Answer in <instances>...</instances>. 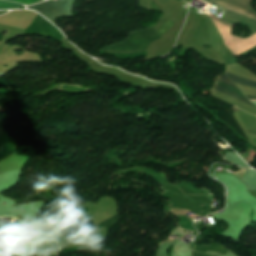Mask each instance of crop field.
<instances>
[{"instance_id":"34b2d1b8","label":"crop field","mask_w":256,"mask_h":256,"mask_svg":"<svg viewBox=\"0 0 256 256\" xmlns=\"http://www.w3.org/2000/svg\"><path fill=\"white\" fill-rule=\"evenodd\" d=\"M74 0H57L54 2H44L41 4L33 5L28 8L41 12L46 18L54 23V19L59 16H73L72 4Z\"/></svg>"},{"instance_id":"e52e79f7","label":"crop field","mask_w":256,"mask_h":256,"mask_svg":"<svg viewBox=\"0 0 256 256\" xmlns=\"http://www.w3.org/2000/svg\"><path fill=\"white\" fill-rule=\"evenodd\" d=\"M191 233H193V231Z\"/></svg>"},{"instance_id":"412701ff","label":"crop field","mask_w":256,"mask_h":256,"mask_svg":"<svg viewBox=\"0 0 256 256\" xmlns=\"http://www.w3.org/2000/svg\"><path fill=\"white\" fill-rule=\"evenodd\" d=\"M218 84L213 89L253 105L226 76L222 74L217 77ZM255 106V105H253ZM256 107V106H255Z\"/></svg>"},{"instance_id":"f4fd0767","label":"crop field","mask_w":256,"mask_h":256,"mask_svg":"<svg viewBox=\"0 0 256 256\" xmlns=\"http://www.w3.org/2000/svg\"><path fill=\"white\" fill-rule=\"evenodd\" d=\"M227 76L230 78L231 81H233L236 84H240V85H243V86H247V87L256 89V83L255 82L245 80V79H242V78H238V77H235V76H231V75H227ZM245 96H247L248 99H255L256 100L255 96H248V95H245Z\"/></svg>"},{"instance_id":"8a807250","label":"crop field","mask_w":256,"mask_h":256,"mask_svg":"<svg viewBox=\"0 0 256 256\" xmlns=\"http://www.w3.org/2000/svg\"><path fill=\"white\" fill-rule=\"evenodd\" d=\"M207 1L220 7V8H224L229 11H232V12H235L240 15H243L248 18L256 20V12L253 10L252 5H251L252 0H207ZM224 9L222 10L223 14L220 18L224 19V21L229 22L233 25L234 24H242V25L246 24V25H248L249 30L252 33H256V21L248 19V18L240 16V15H237L235 13L229 12ZM226 25H228V24H226ZM228 26L232 27V30H233L232 25H228ZM231 35H232V32H231ZM252 35L253 34H249V37ZM234 36H236V35H234ZM237 37H240V36H237ZM241 38H243V36ZM223 54H224V57L226 60V65L237 62L225 44H224V48H223Z\"/></svg>"},{"instance_id":"ac0d7876","label":"crop field","mask_w":256,"mask_h":256,"mask_svg":"<svg viewBox=\"0 0 256 256\" xmlns=\"http://www.w3.org/2000/svg\"><path fill=\"white\" fill-rule=\"evenodd\" d=\"M159 39L152 27L129 33L127 40L120 44L110 45L103 49L109 52L146 51L149 43Z\"/></svg>"},{"instance_id":"dd49c442","label":"crop field","mask_w":256,"mask_h":256,"mask_svg":"<svg viewBox=\"0 0 256 256\" xmlns=\"http://www.w3.org/2000/svg\"><path fill=\"white\" fill-rule=\"evenodd\" d=\"M9 1L21 2L25 5H29V4H32V3L39 2V0H9Z\"/></svg>"},{"instance_id":"d8731c3e","label":"crop field","mask_w":256,"mask_h":256,"mask_svg":"<svg viewBox=\"0 0 256 256\" xmlns=\"http://www.w3.org/2000/svg\"><path fill=\"white\" fill-rule=\"evenodd\" d=\"M182 234H184V233H182ZM185 235V234H184Z\"/></svg>"}]
</instances>
